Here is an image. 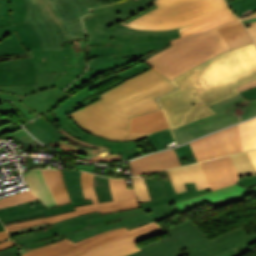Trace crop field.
<instances>
[{
	"label": "crop field",
	"mask_w": 256,
	"mask_h": 256,
	"mask_svg": "<svg viewBox=\"0 0 256 256\" xmlns=\"http://www.w3.org/2000/svg\"><path fill=\"white\" fill-rule=\"evenodd\" d=\"M256 78L254 44L231 50L175 79L180 88L159 98L171 128L215 114L208 106L239 94Z\"/></svg>",
	"instance_id": "1"
},
{
	"label": "crop field",
	"mask_w": 256,
	"mask_h": 256,
	"mask_svg": "<svg viewBox=\"0 0 256 256\" xmlns=\"http://www.w3.org/2000/svg\"><path fill=\"white\" fill-rule=\"evenodd\" d=\"M153 68L100 95L102 99L68 116L81 129L109 140H136L151 133H131L134 115L161 109L157 97L176 89Z\"/></svg>",
	"instance_id": "2"
},
{
	"label": "crop field",
	"mask_w": 256,
	"mask_h": 256,
	"mask_svg": "<svg viewBox=\"0 0 256 256\" xmlns=\"http://www.w3.org/2000/svg\"><path fill=\"white\" fill-rule=\"evenodd\" d=\"M153 2L159 8L128 24L120 23L141 30L179 28L183 36L236 19L224 0H154Z\"/></svg>",
	"instance_id": "3"
},
{
	"label": "crop field",
	"mask_w": 256,
	"mask_h": 256,
	"mask_svg": "<svg viewBox=\"0 0 256 256\" xmlns=\"http://www.w3.org/2000/svg\"><path fill=\"white\" fill-rule=\"evenodd\" d=\"M166 231L171 237L142 246L141 251L126 256H213L256 242V232L249 235L243 226L210 239L190 219Z\"/></svg>",
	"instance_id": "4"
},
{
	"label": "crop field",
	"mask_w": 256,
	"mask_h": 256,
	"mask_svg": "<svg viewBox=\"0 0 256 256\" xmlns=\"http://www.w3.org/2000/svg\"><path fill=\"white\" fill-rule=\"evenodd\" d=\"M155 221L141 208L101 214L94 212L51 224V228L11 236L20 247L37 248L64 238L77 242L105 231L126 227L128 230Z\"/></svg>",
	"instance_id": "5"
},
{
	"label": "crop field",
	"mask_w": 256,
	"mask_h": 256,
	"mask_svg": "<svg viewBox=\"0 0 256 256\" xmlns=\"http://www.w3.org/2000/svg\"><path fill=\"white\" fill-rule=\"evenodd\" d=\"M26 3V21L38 32L43 50H62L61 42L85 38L80 17L90 11L82 0H26Z\"/></svg>",
	"instance_id": "6"
},
{
	"label": "crop field",
	"mask_w": 256,
	"mask_h": 256,
	"mask_svg": "<svg viewBox=\"0 0 256 256\" xmlns=\"http://www.w3.org/2000/svg\"><path fill=\"white\" fill-rule=\"evenodd\" d=\"M240 23L239 19L171 40L173 46L144 62L172 80L187 70L230 50L217 29Z\"/></svg>",
	"instance_id": "7"
},
{
	"label": "crop field",
	"mask_w": 256,
	"mask_h": 256,
	"mask_svg": "<svg viewBox=\"0 0 256 256\" xmlns=\"http://www.w3.org/2000/svg\"><path fill=\"white\" fill-rule=\"evenodd\" d=\"M152 67L144 62L135 65L121 73L112 74L102 80H98L81 91L71 95L63 104L54 110L56 116L45 114L50 123L56 121L70 135L93 144L110 147V154L121 153L123 160L135 158L142 155L135 141H109L91 135L79 129L67 116L69 113L100 99L97 95L150 69Z\"/></svg>",
	"instance_id": "8"
},
{
	"label": "crop field",
	"mask_w": 256,
	"mask_h": 256,
	"mask_svg": "<svg viewBox=\"0 0 256 256\" xmlns=\"http://www.w3.org/2000/svg\"><path fill=\"white\" fill-rule=\"evenodd\" d=\"M162 232L165 230L153 222L130 231L122 228L105 232L75 244L65 239L23 256H124L139 251L135 242Z\"/></svg>",
	"instance_id": "9"
},
{
	"label": "crop field",
	"mask_w": 256,
	"mask_h": 256,
	"mask_svg": "<svg viewBox=\"0 0 256 256\" xmlns=\"http://www.w3.org/2000/svg\"><path fill=\"white\" fill-rule=\"evenodd\" d=\"M210 108L217 114L172 129L178 144L256 115V100L246 101L239 94Z\"/></svg>",
	"instance_id": "10"
},
{
	"label": "crop field",
	"mask_w": 256,
	"mask_h": 256,
	"mask_svg": "<svg viewBox=\"0 0 256 256\" xmlns=\"http://www.w3.org/2000/svg\"><path fill=\"white\" fill-rule=\"evenodd\" d=\"M110 188L114 202L98 203L93 186V175L81 172V184L84 192L85 199H91L94 204L76 208L77 211L65 213L45 219L33 220L21 224L6 226L8 231H13L20 228L31 227L43 223H55L57 221L67 219L73 216L98 211L108 213L118 210L131 209L139 207L137 199H130L125 179H109Z\"/></svg>",
	"instance_id": "11"
},
{
	"label": "crop field",
	"mask_w": 256,
	"mask_h": 256,
	"mask_svg": "<svg viewBox=\"0 0 256 256\" xmlns=\"http://www.w3.org/2000/svg\"><path fill=\"white\" fill-rule=\"evenodd\" d=\"M64 183L72 203L48 209L41 201H30L25 204L0 209V220L4 225L16 224L32 219L45 218L76 210L75 207L91 204L85 201L80 185V171L62 170Z\"/></svg>",
	"instance_id": "12"
},
{
	"label": "crop field",
	"mask_w": 256,
	"mask_h": 256,
	"mask_svg": "<svg viewBox=\"0 0 256 256\" xmlns=\"http://www.w3.org/2000/svg\"><path fill=\"white\" fill-rule=\"evenodd\" d=\"M152 1L125 0L91 10L92 14L83 17V23L87 33V43L89 44L96 36L103 34V29L119 21L127 23L156 8V4Z\"/></svg>",
	"instance_id": "13"
},
{
	"label": "crop field",
	"mask_w": 256,
	"mask_h": 256,
	"mask_svg": "<svg viewBox=\"0 0 256 256\" xmlns=\"http://www.w3.org/2000/svg\"><path fill=\"white\" fill-rule=\"evenodd\" d=\"M105 34L95 38L90 45H123L167 41L181 36L178 29L169 31H141L116 24L106 30Z\"/></svg>",
	"instance_id": "14"
},
{
	"label": "crop field",
	"mask_w": 256,
	"mask_h": 256,
	"mask_svg": "<svg viewBox=\"0 0 256 256\" xmlns=\"http://www.w3.org/2000/svg\"><path fill=\"white\" fill-rule=\"evenodd\" d=\"M197 161L240 153L237 125L190 143Z\"/></svg>",
	"instance_id": "15"
},
{
	"label": "crop field",
	"mask_w": 256,
	"mask_h": 256,
	"mask_svg": "<svg viewBox=\"0 0 256 256\" xmlns=\"http://www.w3.org/2000/svg\"><path fill=\"white\" fill-rule=\"evenodd\" d=\"M42 50L38 34L29 22L0 28V57Z\"/></svg>",
	"instance_id": "16"
},
{
	"label": "crop field",
	"mask_w": 256,
	"mask_h": 256,
	"mask_svg": "<svg viewBox=\"0 0 256 256\" xmlns=\"http://www.w3.org/2000/svg\"><path fill=\"white\" fill-rule=\"evenodd\" d=\"M32 53L37 74L67 71L61 80L53 82L55 87L59 89L63 90L83 73L79 67L64 65V56L70 55L69 49H63V51H32Z\"/></svg>",
	"instance_id": "17"
},
{
	"label": "crop field",
	"mask_w": 256,
	"mask_h": 256,
	"mask_svg": "<svg viewBox=\"0 0 256 256\" xmlns=\"http://www.w3.org/2000/svg\"><path fill=\"white\" fill-rule=\"evenodd\" d=\"M62 73H50L37 75L36 86H3L0 87V94L2 100H10L15 103L14 105L22 112L28 121L40 116L36 112L27 108L21 103V98L35 92L54 88L51 81L60 79L64 76ZM22 89V90H21Z\"/></svg>",
	"instance_id": "18"
},
{
	"label": "crop field",
	"mask_w": 256,
	"mask_h": 256,
	"mask_svg": "<svg viewBox=\"0 0 256 256\" xmlns=\"http://www.w3.org/2000/svg\"><path fill=\"white\" fill-rule=\"evenodd\" d=\"M146 182L153 201L141 203L143 211L206 193V190L196 191L194 184H186L188 191L176 194L170 182L151 179H146Z\"/></svg>",
	"instance_id": "19"
},
{
	"label": "crop field",
	"mask_w": 256,
	"mask_h": 256,
	"mask_svg": "<svg viewBox=\"0 0 256 256\" xmlns=\"http://www.w3.org/2000/svg\"><path fill=\"white\" fill-rule=\"evenodd\" d=\"M211 190L235 184L240 178L229 156L201 162Z\"/></svg>",
	"instance_id": "20"
},
{
	"label": "crop field",
	"mask_w": 256,
	"mask_h": 256,
	"mask_svg": "<svg viewBox=\"0 0 256 256\" xmlns=\"http://www.w3.org/2000/svg\"><path fill=\"white\" fill-rule=\"evenodd\" d=\"M35 81L36 73L32 57L0 63V86L35 85Z\"/></svg>",
	"instance_id": "21"
},
{
	"label": "crop field",
	"mask_w": 256,
	"mask_h": 256,
	"mask_svg": "<svg viewBox=\"0 0 256 256\" xmlns=\"http://www.w3.org/2000/svg\"><path fill=\"white\" fill-rule=\"evenodd\" d=\"M59 131L63 132L66 136L71 137L63 129H61ZM71 138L80 142V143H82L85 146L97 148V149H99V151L82 149V148L70 145L68 143H64L60 140L57 141V142L51 143L48 146H50V147H52V148H54V149H56L60 152H63V153H66V154H69V155H72V156H75V157H79V158H81L83 160H87V161L115 162V161H121L122 160L120 154L119 155H109V148H105V147H102V146H97V145H93V144H90V143H87V142H83V141H80V140L75 139L73 137H71Z\"/></svg>",
	"instance_id": "22"
},
{
	"label": "crop field",
	"mask_w": 256,
	"mask_h": 256,
	"mask_svg": "<svg viewBox=\"0 0 256 256\" xmlns=\"http://www.w3.org/2000/svg\"><path fill=\"white\" fill-rule=\"evenodd\" d=\"M129 164L133 175L147 174L181 165L173 149L131 161Z\"/></svg>",
	"instance_id": "23"
},
{
	"label": "crop field",
	"mask_w": 256,
	"mask_h": 256,
	"mask_svg": "<svg viewBox=\"0 0 256 256\" xmlns=\"http://www.w3.org/2000/svg\"><path fill=\"white\" fill-rule=\"evenodd\" d=\"M170 41L159 42V43H150V44H140V45H124V46H91L89 48V59L103 56L107 54H114L115 59L135 57L140 58L160 47L170 44Z\"/></svg>",
	"instance_id": "24"
},
{
	"label": "crop field",
	"mask_w": 256,
	"mask_h": 256,
	"mask_svg": "<svg viewBox=\"0 0 256 256\" xmlns=\"http://www.w3.org/2000/svg\"><path fill=\"white\" fill-rule=\"evenodd\" d=\"M166 172L176 193L187 190L185 183H195L197 190L209 188L199 163L167 170Z\"/></svg>",
	"instance_id": "25"
},
{
	"label": "crop field",
	"mask_w": 256,
	"mask_h": 256,
	"mask_svg": "<svg viewBox=\"0 0 256 256\" xmlns=\"http://www.w3.org/2000/svg\"><path fill=\"white\" fill-rule=\"evenodd\" d=\"M134 60L136 59L131 57L115 61L113 55L90 59L88 71L79 77L70 87L66 88V90L70 92L100 73L122 66Z\"/></svg>",
	"instance_id": "26"
},
{
	"label": "crop field",
	"mask_w": 256,
	"mask_h": 256,
	"mask_svg": "<svg viewBox=\"0 0 256 256\" xmlns=\"http://www.w3.org/2000/svg\"><path fill=\"white\" fill-rule=\"evenodd\" d=\"M68 95L65 91L54 88L24 97L22 103L41 115L65 100Z\"/></svg>",
	"instance_id": "27"
},
{
	"label": "crop field",
	"mask_w": 256,
	"mask_h": 256,
	"mask_svg": "<svg viewBox=\"0 0 256 256\" xmlns=\"http://www.w3.org/2000/svg\"><path fill=\"white\" fill-rule=\"evenodd\" d=\"M27 184L28 189L46 205L48 208L56 206L57 203L42 175L41 170H32L22 173Z\"/></svg>",
	"instance_id": "28"
},
{
	"label": "crop field",
	"mask_w": 256,
	"mask_h": 256,
	"mask_svg": "<svg viewBox=\"0 0 256 256\" xmlns=\"http://www.w3.org/2000/svg\"><path fill=\"white\" fill-rule=\"evenodd\" d=\"M247 192H249L248 189L238 184H235L226 188H222L213 192L206 193L204 195L196 196L194 198H191L185 201L177 202L176 204L180 207L182 211H185V210L203 205L207 202L216 200L218 198L237 195V194H243Z\"/></svg>",
	"instance_id": "29"
},
{
	"label": "crop field",
	"mask_w": 256,
	"mask_h": 256,
	"mask_svg": "<svg viewBox=\"0 0 256 256\" xmlns=\"http://www.w3.org/2000/svg\"><path fill=\"white\" fill-rule=\"evenodd\" d=\"M25 17L24 0H0V27L24 22Z\"/></svg>",
	"instance_id": "30"
},
{
	"label": "crop field",
	"mask_w": 256,
	"mask_h": 256,
	"mask_svg": "<svg viewBox=\"0 0 256 256\" xmlns=\"http://www.w3.org/2000/svg\"><path fill=\"white\" fill-rule=\"evenodd\" d=\"M168 123L163 111H155L133 118L132 132H155L164 128H168Z\"/></svg>",
	"instance_id": "31"
},
{
	"label": "crop field",
	"mask_w": 256,
	"mask_h": 256,
	"mask_svg": "<svg viewBox=\"0 0 256 256\" xmlns=\"http://www.w3.org/2000/svg\"><path fill=\"white\" fill-rule=\"evenodd\" d=\"M42 143L49 144L66 137L63 133L52 127L47 121L39 117L24 125Z\"/></svg>",
	"instance_id": "32"
},
{
	"label": "crop field",
	"mask_w": 256,
	"mask_h": 256,
	"mask_svg": "<svg viewBox=\"0 0 256 256\" xmlns=\"http://www.w3.org/2000/svg\"><path fill=\"white\" fill-rule=\"evenodd\" d=\"M42 171L58 205L70 203L71 201L68 197L67 190L63 183L61 170Z\"/></svg>",
	"instance_id": "33"
},
{
	"label": "crop field",
	"mask_w": 256,
	"mask_h": 256,
	"mask_svg": "<svg viewBox=\"0 0 256 256\" xmlns=\"http://www.w3.org/2000/svg\"><path fill=\"white\" fill-rule=\"evenodd\" d=\"M219 32L231 49L253 42L241 23L219 29Z\"/></svg>",
	"instance_id": "34"
},
{
	"label": "crop field",
	"mask_w": 256,
	"mask_h": 256,
	"mask_svg": "<svg viewBox=\"0 0 256 256\" xmlns=\"http://www.w3.org/2000/svg\"><path fill=\"white\" fill-rule=\"evenodd\" d=\"M85 42L84 39L63 43V48H70L71 52V56L65 57V64L82 67L83 71H85L87 53V45Z\"/></svg>",
	"instance_id": "35"
},
{
	"label": "crop field",
	"mask_w": 256,
	"mask_h": 256,
	"mask_svg": "<svg viewBox=\"0 0 256 256\" xmlns=\"http://www.w3.org/2000/svg\"><path fill=\"white\" fill-rule=\"evenodd\" d=\"M242 150L256 149V118L238 124Z\"/></svg>",
	"instance_id": "36"
},
{
	"label": "crop field",
	"mask_w": 256,
	"mask_h": 256,
	"mask_svg": "<svg viewBox=\"0 0 256 256\" xmlns=\"http://www.w3.org/2000/svg\"><path fill=\"white\" fill-rule=\"evenodd\" d=\"M240 176L256 175V170L247 152L231 155Z\"/></svg>",
	"instance_id": "37"
},
{
	"label": "crop field",
	"mask_w": 256,
	"mask_h": 256,
	"mask_svg": "<svg viewBox=\"0 0 256 256\" xmlns=\"http://www.w3.org/2000/svg\"><path fill=\"white\" fill-rule=\"evenodd\" d=\"M147 138L154 146L156 151L165 148L166 145L175 141L170 128L153 133L147 136Z\"/></svg>",
	"instance_id": "38"
},
{
	"label": "crop field",
	"mask_w": 256,
	"mask_h": 256,
	"mask_svg": "<svg viewBox=\"0 0 256 256\" xmlns=\"http://www.w3.org/2000/svg\"><path fill=\"white\" fill-rule=\"evenodd\" d=\"M227 3L240 18L256 11V0H233Z\"/></svg>",
	"instance_id": "39"
},
{
	"label": "crop field",
	"mask_w": 256,
	"mask_h": 256,
	"mask_svg": "<svg viewBox=\"0 0 256 256\" xmlns=\"http://www.w3.org/2000/svg\"><path fill=\"white\" fill-rule=\"evenodd\" d=\"M154 209L145 211V214L153 216L157 222L182 212L177 205L170 207V204Z\"/></svg>",
	"instance_id": "40"
},
{
	"label": "crop field",
	"mask_w": 256,
	"mask_h": 256,
	"mask_svg": "<svg viewBox=\"0 0 256 256\" xmlns=\"http://www.w3.org/2000/svg\"><path fill=\"white\" fill-rule=\"evenodd\" d=\"M37 198L29 191H23L20 193H17L15 195L9 196L7 198L0 200V208L2 207H8L11 205H16L20 203H24L30 200H36Z\"/></svg>",
	"instance_id": "41"
},
{
	"label": "crop field",
	"mask_w": 256,
	"mask_h": 256,
	"mask_svg": "<svg viewBox=\"0 0 256 256\" xmlns=\"http://www.w3.org/2000/svg\"><path fill=\"white\" fill-rule=\"evenodd\" d=\"M132 182L138 202L150 201V195L144 178L132 177Z\"/></svg>",
	"instance_id": "42"
},
{
	"label": "crop field",
	"mask_w": 256,
	"mask_h": 256,
	"mask_svg": "<svg viewBox=\"0 0 256 256\" xmlns=\"http://www.w3.org/2000/svg\"><path fill=\"white\" fill-rule=\"evenodd\" d=\"M175 151L182 165L197 162L189 144L175 148Z\"/></svg>",
	"instance_id": "43"
},
{
	"label": "crop field",
	"mask_w": 256,
	"mask_h": 256,
	"mask_svg": "<svg viewBox=\"0 0 256 256\" xmlns=\"http://www.w3.org/2000/svg\"><path fill=\"white\" fill-rule=\"evenodd\" d=\"M3 105H0V112H11V113H17L19 116V121L23 124L27 123L25 119L22 117V115L8 102H2Z\"/></svg>",
	"instance_id": "44"
},
{
	"label": "crop field",
	"mask_w": 256,
	"mask_h": 256,
	"mask_svg": "<svg viewBox=\"0 0 256 256\" xmlns=\"http://www.w3.org/2000/svg\"><path fill=\"white\" fill-rule=\"evenodd\" d=\"M252 249H250L249 247L240 249L238 251H234L233 249L221 254H218L216 256H244L245 254H247L248 252H250Z\"/></svg>",
	"instance_id": "45"
},
{
	"label": "crop field",
	"mask_w": 256,
	"mask_h": 256,
	"mask_svg": "<svg viewBox=\"0 0 256 256\" xmlns=\"http://www.w3.org/2000/svg\"><path fill=\"white\" fill-rule=\"evenodd\" d=\"M237 183L249 189L256 185V176L241 177Z\"/></svg>",
	"instance_id": "46"
},
{
	"label": "crop field",
	"mask_w": 256,
	"mask_h": 256,
	"mask_svg": "<svg viewBox=\"0 0 256 256\" xmlns=\"http://www.w3.org/2000/svg\"><path fill=\"white\" fill-rule=\"evenodd\" d=\"M0 256H20V248L15 246L7 250L0 251Z\"/></svg>",
	"instance_id": "47"
},
{
	"label": "crop field",
	"mask_w": 256,
	"mask_h": 256,
	"mask_svg": "<svg viewBox=\"0 0 256 256\" xmlns=\"http://www.w3.org/2000/svg\"><path fill=\"white\" fill-rule=\"evenodd\" d=\"M47 227H51V226L47 223V224L35 226V227H32V228L16 230V231H13L11 233H12V235H15V234L26 233V232H30V231H34V230H38V229H42V228H47Z\"/></svg>",
	"instance_id": "48"
},
{
	"label": "crop field",
	"mask_w": 256,
	"mask_h": 256,
	"mask_svg": "<svg viewBox=\"0 0 256 256\" xmlns=\"http://www.w3.org/2000/svg\"><path fill=\"white\" fill-rule=\"evenodd\" d=\"M256 86V79L255 80H252L242 86H239L237 87L238 91L241 92V91H244L246 89H249V88H252V87H255Z\"/></svg>",
	"instance_id": "49"
},
{
	"label": "crop field",
	"mask_w": 256,
	"mask_h": 256,
	"mask_svg": "<svg viewBox=\"0 0 256 256\" xmlns=\"http://www.w3.org/2000/svg\"><path fill=\"white\" fill-rule=\"evenodd\" d=\"M14 245H16V244L12 240L0 242V250L7 249Z\"/></svg>",
	"instance_id": "50"
},
{
	"label": "crop field",
	"mask_w": 256,
	"mask_h": 256,
	"mask_svg": "<svg viewBox=\"0 0 256 256\" xmlns=\"http://www.w3.org/2000/svg\"><path fill=\"white\" fill-rule=\"evenodd\" d=\"M251 25L252 26L247 28V29L250 32L251 36L254 38L255 42H256V22H252Z\"/></svg>",
	"instance_id": "51"
},
{
	"label": "crop field",
	"mask_w": 256,
	"mask_h": 256,
	"mask_svg": "<svg viewBox=\"0 0 256 256\" xmlns=\"http://www.w3.org/2000/svg\"><path fill=\"white\" fill-rule=\"evenodd\" d=\"M94 167L95 166L77 165L75 169H80V170H84V171H88V172H92L93 173Z\"/></svg>",
	"instance_id": "52"
},
{
	"label": "crop field",
	"mask_w": 256,
	"mask_h": 256,
	"mask_svg": "<svg viewBox=\"0 0 256 256\" xmlns=\"http://www.w3.org/2000/svg\"><path fill=\"white\" fill-rule=\"evenodd\" d=\"M250 194V193H247ZM243 195H238V196H232V197H227V198H222V199H218L216 201L211 202L210 204H215V203H219V202H223V201H227V200H231V199H235V198H239V197H243Z\"/></svg>",
	"instance_id": "53"
},
{
	"label": "crop field",
	"mask_w": 256,
	"mask_h": 256,
	"mask_svg": "<svg viewBox=\"0 0 256 256\" xmlns=\"http://www.w3.org/2000/svg\"><path fill=\"white\" fill-rule=\"evenodd\" d=\"M31 54H25V55H14V56H7V57H1L0 61L14 59V58H20V57H29Z\"/></svg>",
	"instance_id": "54"
},
{
	"label": "crop field",
	"mask_w": 256,
	"mask_h": 256,
	"mask_svg": "<svg viewBox=\"0 0 256 256\" xmlns=\"http://www.w3.org/2000/svg\"><path fill=\"white\" fill-rule=\"evenodd\" d=\"M83 1L86 3L89 9L99 6L96 0H83Z\"/></svg>",
	"instance_id": "55"
},
{
	"label": "crop field",
	"mask_w": 256,
	"mask_h": 256,
	"mask_svg": "<svg viewBox=\"0 0 256 256\" xmlns=\"http://www.w3.org/2000/svg\"><path fill=\"white\" fill-rule=\"evenodd\" d=\"M248 154H249V156H250V158H251V160H252V162H253V164L256 168V150L255 151H250V152H248Z\"/></svg>",
	"instance_id": "56"
},
{
	"label": "crop field",
	"mask_w": 256,
	"mask_h": 256,
	"mask_svg": "<svg viewBox=\"0 0 256 256\" xmlns=\"http://www.w3.org/2000/svg\"><path fill=\"white\" fill-rule=\"evenodd\" d=\"M9 236L6 232V230L0 232V241L8 239Z\"/></svg>",
	"instance_id": "57"
},
{
	"label": "crop field",
	"mask_w": 256,
	"mask_h": 256,
	"mask_svg": "<svg viewBox=\"0 0 256 256\" xmlns=\"http://www.w3.org/2000/svg\"><path fill=\"white\" fill-rule=\"evenodd\" d=\"M253 17H256V12L247 16V17H245V18H243V19H241V20L248 19V18H253Z\"/></svg>",
	"instance_id": "58"
},
{
	"label": "crop field",
	"mask_w": 256,
	"mask_h": 256,
	"mask_svg": "<svg viewBox=\"0 0 256 256\" xmlns=\"http://www.w3.org/2000/svg\"><path fill=\"white\" fill-rule=\"evenodd\" d=\"M252 21H256V18L244 20V21H242V22H243V23H246V22H252Z\"/></svg>",
	"instance_id": "59"
},
{
	"label": "crop field",
	"mask_w": 256,
	"mask_h": 256,
	"mask_svg": "<svg viewBox=\"0 0 256 256\" xmlns=\"http://www.w3.org/2000/svg\"><path fill=\"white\" fill-rule=\"evenodd\" d=\"M0 230H4V227L2 226L1 223H0Z\"/></svg>",
	"instance_id": "60"
},
{
	"label": "crop field",
	"mask_w": 256,
	"mask_h": 256,
	"mask_svg": "<svg viewBox=\"0 0 256 256\" xmlns=\"http://www.w3.org/2000/svg\"><path fill=\"white\" fill-rule=\"evenodd\" d=\"M251 189H253V190H255V191H256V186H255V187H253V188H251Z\"/></svg>",
	"instance_id": "61"
},
{
	"label": "crop field",
	"mask_w": 256,
	"mask_h": 256,
	"mask_svg": "<svg viewBox=\"0 0 256 256\" xmlns=\"http://www.w3.org/2000/svg\"><path fill=\"white\" fill-rule=\"evenodd\" d=\"M0 101H1V98H0Z\"/></svg>",
	"instance_id": "62"
}]
</instances>
